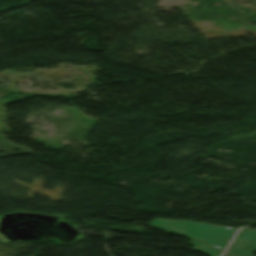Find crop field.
I'll return each instance as SVG.
<instances>
[{
  "instance_id": "1",
  "label": "crop field",
  "mask_w": 256,
  "mask_h": 256,
  "mask_svg": "<svg viewBox=\"0 0 256 256\" xmlns=\"http://www.w3.org/2000/svg\"><path fill=\"white\" fill-rule=\"evenodd\" d=\"M150 225L170 230L187 237L207 242L225 251L226 246L237 229L219 227L189 221L154 219Z\"/></svg>"
},
{
  "instance_id": "2",
  "label": "crop field",
  "mask_w": 256,
  "mask_h": 256,
  "mask_svg": "<svg viewBox=\"0 0 256 256\" xmlns=\"http://www.w3.org/2000/svg\"><path fill=\"white\" fill-rule=\"evenodd\" d=\"M256 252V230L242 229L230 250L238 256H253Z\"/></svg>"
},
{
  "instance_id": "3",
  "label": "crop field",
  "mask_w": 256,
  "mask_h": 256,
  "mask_svg": "<svg viewBox=\"0 0 256 256\" xmlns=\"http://www.w3.org/2000/svg\"><path fill=\"white\" fill-rule=\"evenodd\" d=\"M191 243L195 245L192 248L193 251L205 252L211 256H219L221 253H223V252L213 248L212 246L204 244V243H200L197 241H191Z\"/></svg>"
},
{
  "instance_id": "4",
  "label": "crop field",
  "mask_w": 256,
  "mask_h": 256,
  "mask_svg": "<svg viewBox=\"0 0 256 256\" xmlns=\"http://www.w3.org/2000/svg\"><path fill=\"white\" fill-rule=\"evenodd\" d=\"M224 256H231V255L226 254V255H224Z\"/></svg>"
}]
</instances>
